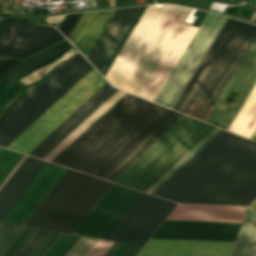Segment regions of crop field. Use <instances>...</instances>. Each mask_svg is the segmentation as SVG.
I'll return each instance as SVG.
<instances>
[{
	"mask_svg": "<svg viewBox=\"0 0 256 256\" xmlns=\"http://www.w3.org/2000/svg\"><path fill=\"white\" fill-rule=\"evenodd\" d=\"M152 194L178 203L249 205L256 199V143L221 130Z\"/></svg>",
	"mask_w": 256,
	"mask_h": 256,
	"instance_id": "crop-field-1",
	"label": "crop field"
},
{
	"mask_svg": "<svg viewBox=\"0 0 256 256\" xmlns=\"http://www.w3.org/2000/svg\"><path fill=\"white\" fill-rule=\"evenodd\" d=\"M191 8L147 6L106 78L154 101L197 28L182 25Z\"/></svg>",
	"mask_w": 256,
	"mask_h": 256,
	"instance_id": "crop-field-2",
	"label": "crop field"
},
{
	"mask_svg": "<svg viewBox=\"0 0 256 256\" xmlns=\"http://www.w3.org/2000/svg\"><path fill=\"white\" fill-rule=\"evenodd\" d=\"M173 113L126 93L52 161L103 178Z\"/></svg>",
	"mask_w": 256,
	"mask_h": 256,
	"instance_id": "crop-field-3",
	"label": "crop field"
},
{
	"mask_svg": "<svg viewBox=\"0 0 256 256\" xmlns=\"http://www.w3.org/2000/svg\"><path fill=\"white\" fill-rule=\"evenodd\" d=\"M255 36V25L228 18L174 110L189 115L196 100L213 105Z\"/></svg>",
	"mask_w": 256,
	"mask_h": 256,
	"instance_id": "crop-field-4",
	"label": "crop field"
},
{
	"mask_svg": "<svg viewBox=\"0 0 256 256\" xmlns=\"http://www.w3.org/2000/svg\"><path fill=\"white\" fill-rule=\"evenodd\" d=\"M111 184L67 169L23 225L72 233Z\"/></svg>",
	"mask_w": 256,
	"mask_h": 256,
	"instance_id": "crop-field-5",
	"label": "crop field"
},
{
	"mask_svg": "<svg viewBox=\"0 0 256 256\" xmlns=\"http://www.w3.org/2000/svg\"><path fill=\"white\" fill-rule=\"evenodd\" d=\"M214 129L185 116L114 182L146 191Z\"/></svg>",
	"mask_w": 256,
	"mask_h": 256,
	"instance_id": "crop-field-6",
	"label": "crop field"
},
{
	"mask_svg": "<svg viewBox=\"0 0 256 256\" xmlns=\"http://www.w3.org/2000/svg\"><path fill=\"white\" fill-rule=\"evenodd\" d=\"M93 67L78 53L30 91L0 127V145L7 147Z\"/></svg>",
	"mask_w": 256,
	"mask_h": 256,
	"instance_id": "crop-field-7",
	"label": "crop field"
},
{
	"mask_svg": "<svg viewBox=\"0 0 256 256\" xmlns=\"http://www.w3.org/2000/svg\"><path fill=\"white\" fill-rule=\"evenodd\" d=\"M106 82L93 68L8 148L28 154Z\"/></svg>",
	"mask_w": 256,
	"mask_h": 256,
	"instance_id": "crop-field-8",
	"label": "crop field"
},
{
	"mask_svg": "<svg viewBox=\"0 0 256 256\" xmlns=\"http://www.w3.org/2000/svg\"><path fill=\"white\" fill-rule=\"evenodd\" d=\"M225 19V16L208 12L155 102L173 108Z\"/></svg>",
	"mask_w": 256,
	"mask_h": 256,
	"instance_id": "crop-field-9",
	"label": "crop field"
},
{
	"mask_svg": "<svg viewBox=\"0 0 256 256\" xmlns=\"http://www.w3.org/2000/svg\"><path fill=\"white\" fill-rule=\"evenodd\" d=\"M175 205L142 193L105 239L144 245Z\"/></svg>",
	"mask_w": 256,
	"mask_h": 256,
	"instance_id": "crop-field-10",
	"label": "crop field"
},
{
	"mask_svg": "<svg viewBox=\"0 0 256 256\" xmlns=\"http://www.w3.org/2000/svg\"><path fill=\"white\" fill-rule=\"evenodd\" d=\"M255 84L256 37L209 112L205 122L228 130ZM232 91L237 92L233 102H226Z\"/></svg>",
	"mask_w": 256,
	"mask_h": 256,
	"instance_id": "crop-field-11",
	"label": "crop field"
},
{
	"mask_svg": "<svg viewBox=\"0 0 256 256\" xmlns=\"http://www.w3.org/2000/svg\"><path fill=\"white\" fill-rule=\"evenodd\" d=\"M140 194L113 183L73 233L104 239Z\"/></svg>",
	"mask_w": 256,
	"mask_h": 256,
	"instance_id": "crop-field-12",
	"label": "crop field"
},
{
	"mask_svg": "<svg viewBox=\"0 0 256 256\" xmlns=\"http://www.w3.org/2000/svg\"><path fill=\"white\" fill-rule=\"evenodd\" d=\"M241 223L165 220L152 238L234 241Z\"/></svg>",
	"mask_w": 256,
	"mask_h": 256,
	"instance_id": "crop-field-13",
	"label": "crop field"
},
{
	"mask_svg": "<svg viewBox=\"0 0 256 256\" xmlns=\"http://www.w3.org/2000/svg\"><path fill=\"white\" fill-rule=\"evenodd\" d=\"M233 243L150 239L137 256H229Z\"/></svg>",
	"mask_w": 256,
	"mask_h": 256,
	"instance_id": "crop-field-14",
	"label": "crop field"
},
{
	"mask_svg": "<svg viewBox=\"0 0 256 256\" xmlns=\"http://www.w3.org/2000/svg\"><path fill=\"white\" fill-rule=\"evenodd\" d=\"M65 170L48 163L2 221L22 225Z\"/></svg>",
	"mask_w": 256,
	"mask_h": 256,
	"instance_id": "crop-field-15",
	"label": "crop field"
},
{
	"mask_svg": "<svg viewBox=\"0 0 256 256\" xmlns=\"http://www.w3.org/2000/svg\"><path fill=\"white\" fill-rule=\"evenodd\" d=\"M116 91L117 89L112 88L107 82L34 150H32L29 155L42 158Z\"/></svg>",
	"mask_w": 256,
	"mask_h": 256,
	"instance_id": "crop-field-16",
	"label": "crop field"
},
{
	"mask_svg": "<svg viewBox=\"0 0 256 256\" xmlns=\"http://www.w3.org/2000/svg\"><path fill=\"white\" fill-rule=\"evenodd\" d=\"M138 8L139 6L116 9L87 58L99 71L104 67Z\"/></svg>",
	"mask_w": 256,
	"mask_h": 256,
	"instance_id": "crop-field-17",
	"label": "crop field"
},
{
	"mask_svg": "<svg viewBox=\"0 0 256 256\" xmlns=\"http://www.w3.org/2000/svg\"><path fill=\"white\" fill-rule=\"evenodd\" d=\"M47 162L27 156L0 190V221L33 182Z\"/></svg>",
	"mask_w": 256,
	"mask_h": 256,
	"instance_id": "crop-field-18",
	"label": "crop field"
},
{
	"mask_svg": "<svg viewBox=\"0 0 256 256\" xmlns=\"http://www.w3.org/2000/svg\"><path fill=\"white\" fill-rule=\"evenodd\" d=\"M115 9L83 13L69 40L87 58Z\"/></svg>",
	"mask_w": 256,
	"mask_h": 256,
	"instance_id": "crop-field-19",
	"label": "crop field"
},
{
	"mask_svg": "<svg viewBox=\"0 0 256 256\" xmlns=\"http://www.w3.org/2000/svg\"><path fill=\"white\" fill-rule=\"evenodd\" d=\"M246 207L178 204L167 219L241 222Z\"/></svg>",
	"mask_w": 256,
	"mask_h": 256,
	"instance_id": "crop-field-20",
	"label": "crop field"
},
{
	"mask_svg": "<svg viewBox=\"0 0 256 256\" xmlns=\"http://www.w3.org/2000/svg\"><path fill=\"white\" fill-rule=\"evenodd\" d=\"M183 117L184 115L175 112L104 178L113 181Z\"/></svg>",
	"mask_w": 256,
	"mask_h": 256,
	"instance_id": "crop-field-21",
	"label": "crop field"
},
{
	"mask_svg": "<svg viewBox=\"0 0 256 256\" xmlns=\"http://www.w3.org/2000/svg\"><path fill=\"white\" fill-rule=\"evenodd\" d=\"M256 255V209L248 207L231 256Z\"/></svg>",
	"mask_w": 256,
	"mask_h": 256,
	"instance_id": "crop-field-22",
	"label": "crop field"
},
{
	"mask_svg": "<svg viewBox=\"0 0 256 256\" xmlns=\"http://www.w3.org/2000/svg\"><path fill=\"white\" fill-rule=\"evenodd\" d=\"M247 99V98H246ZM256 128V85L244 103L229 131L249 137Z\"/></svg>",
	"mask_w": 256,
	"mask_h": 256,
	"instance_id": "crop-field-23",
	"label": "crop field"
},
{
	"mask_svg": "<svg viewBox=\"0 0 256 256\" xmlns=\"http://www.w3.org/2000/svg\"><path fill=\"white\" fill-rule=\"evenodd\" d=\"M64 37L0 32V45L46 48Z\"/></svg>",
	"mask_w": 256,
	"mask_h": 256,
	"instance_id": "crop-field-24",
	"label": "crop field"
},
{
	"mask_svg": "<svg viewBox=\"0 0 256 256\" xmlns=\"http://www.w3.org/2000/svg\"><path fill=\"white\" fill-rule=\"evenodd\" d=\"M68 45H70L68 43L67 40L21 62L20 64H18L17 66L13 67L12 69H10L9 71L5 72L4 74L0 75V82L12 77L13 75L21 72L22 70L33 66L51 56H53L54 54H56L57 52H59L60 50L64 49L65 47H67Z\"/></svg>",
	"mask_w": 256,
	"mask_h": 256,
	"instance_id": "crop-field-25",
	"label": "crop field"
},
{
	"mask_svg": "<svg viewBox=\"0 0 256 256\" xmlns=\"http://www.w3.org/2000/svg\"><path fill=\"white\" fill-rule=\"evenodd\" d=\"M0 31L62 36L56 29L51 27L20 23H0Z\"/></svg>",
	"mask_w": 256,
	"mask_h": 256,
	"instance_id": "crop-field-26",
	"label": "crop field"
},
{
	"mask_svg": "<svg viewBox=\"0 0 256 256\" xmlns=\"http://www.w3.org/2000/svg\"><path fill=\"white\" fill-rule=\"evenodd\" d=\"M24 228L23 226L0 223V256L6 252Z\"/></svg>",
	"mask_w": 256,
	"mask_h": 256,
	"instance_id": "crop-field-27",
	"label": "crop field"
},
{
	"mask_svg": "<svg viewBox=\"0 0 256 256\" xmlns=\"http://www.w3.org/2000/svg\"><path fill=\"white\" fill-rule=\"evenodd\" d=\"M80 237L62 233L44 256H65Z\"/></svg>",
	"mask_w": 256,
	"mask_h": 256,
	"instance_id": "crop-field-28",
	"label": "crop field"
},
{
	"mask_svg": "<svg viewBox=\"0 0 256 256\" xmlns=\"http://www.w3.org/2000/svg\"><path fill=\"white\" fill-rule=\"evenodd\" d=\"M22 156L23 154L0 148V184Z\"/></svg>",
	"mask_w": 256,
	"mask_h": 256,
	"instance_id": "crop-field-29",
	"label": "crop field"
},
{
	"mask_svg": "<svg viewBox=\"0 0 256 256\" xmlns=\"http://www.w3.org/2000/svg\"><path fill=\"white\" fill-rule=\"evenodd\" d=\"M73 53L75 52L73 51L72 48L67 50L66 53L57 61L30 73L29 75L23 77L19 81L26 86L36 82L38 79H40L42 76H44L46 73H48L50 70H52L55 66H57L59 63H61L64 59H66L68 56L72 55Z\"/></svg>",
	"mask_w": 256,
	"mask_h": 256,
	"instance_id": "crop-field-30",
	"label": "crop field"
},
{
	"mask_svg": "<svg viewBox=\"0 0 256 256\" xmlns=\"http://www.w3.org/2000/svg\"><path fill=\"white\" fill-rule=\"evenodd\" d=\"M146 6H140L139 10L137 11L136 15L134 16L133 20L131 21L130 25L128 26L127 30L125 31L124 35L122 36L120 42L118 43L117 47L115 48L114 52L112 53L111 57L109 58L108 62L106 63L105 67L103 68L101 74L105 76L106 72L108 71L109 67L111 66L112 62L116 58L117 54L119 53L120 49L122 48L123 44L125 43L126 39L128 38L129 34L131 33L132 29L134 28L135 24L139 20L140 16L142 15L143 11L145 10Z\"/></svg>",
	"mask_w": 256,
	"mask_h": 256,
	"instance_id": "crop-field-31",
	"label": "crop field"
},
{
	"mask_svg": "<svg viewBox=\"0 0 256 256\" xmlns=\"http://www.w3.org/2000/svg\"><path fill=\"white\" fill-rule=\"evenodd\" d=\"M220 129L216 128L210 133L202 142H200L192 151H190L182 160H180L172 169H170L162 178H160L147 192L151 193L157 188L165 179H167L175 170H177L185 161H187L195 152H197L206 142H208Z\"/></svg>",
	"mask_w": 256,
	"mask_h": 256,
	"instance_id": "crop-field-32",
	"label": "crop field"
},
{
	"mask_svg": "<svg viewBox=\"0 0 256 256\" xmlns=\"http://www.w3.org/2000/svg\"><path fill=\"white\" fill-rule=\"evenodd\" d=\"M42 49L38 48H25V47H12L0 46V56L26 58Z\"/></svg>",
	"mask_w": 256,
	"mask_h": 256,
	"instance_id": "crop-field-33",
	"label": "crop field"
},
{
	"mask_svg": "<svg viewBox=\"0 0 256 256\" xmlns=\"http://www.w3.org/2000/svg\"><path fill=\"white\" fill-rule=\"evenodd\" d=\"M60 234L59 232L48 231L29 256H43Z\"/></svg>",
	"mask_w": 256,
	"mask_h": 256,
	"instance_id": "crop-field-34",
	"label": "crop field"
},
{
	"mask_svg": "<svg viewBox=\"0 0 256 256\" xmlns=\"http://www.w3.org/2000/svg\"><path fill=\"white\" fill-rule=\"evenodd\" d=\"M96 241V239L81 237L75 246L73 245L74 247L71 249V251L69 250L70 252L67 254V256H85Z\"/></svg>",
	"mask_w": 256,
	"mask_h": 256,
	"instance_id": "crop-field-35",
	"label": "crop field"
},
{
	"mask_svg": "<svg viewBox=\"0 0 256 256\" xmlns=\"http://www.w3.org/2000/svg\"><path fill=\"white\" fill-rule=\"evenodd\" d=\"M81 14H74V15H66L64 21L59 26V30L62 34L67 38L68 34L72 30L73 26L75 25L76 21L80 17Z\"/></svg>",
	"mask_w": 256,
	"mask_h": 256,
	"instance_id": "crop-field-36",
	"label": "crop field"
},
{
	"mask_svg": "<svg viewBox=\"0 0 256 256\" xmlns=\"http://www.w3.org/2000/svg\"><path fill=\"white\" fill-rule=\"evenodd\" d=\"M112 243L110 241L98 240L86 256H103Z\"/></svg>",
	"mask_w": 256,
	"mask_h": 256,
	"instance_id": "crop-field-37",
	"label": "crop field"
},
{
	"mask_svg": "<svg viewBox=\"0 0 256 256\" xmlns=\"http://www.w3.org/2000/svg\"><path fill=\"white\" fill-rule=\"evenodd\" d=\"M32 230V228L26 227L25 230L21 233V235L16 239V241L12 244V246L3 256H12L14 252L18 249V247L22 244V242L26 239V237L31 233Z\"/></svg>",
	"mask_w": 256,
	"mask_h": 256,
	"instance_id": "crop-field-38",
	"label": "crop field"
},
{
	"mask_svg": "<svg viewBox=\"0 0 256 256\" xmlns=\"http://www.w3.org/2000/svg\"><path fill=\"white\" fill-rule=\"evenodd\" d=\"M47 231L39 230L38 233L34 236V238L29 242V244L25 247V249L21 252L19 256H28L29 253L33 250V248L38 244V242L42 239V237L46 234Z\"/></svg>",
	"mask_w": 256,
	"mask_h": 256,
	"instance_id": "crop-field-39",
	"label": "crop field"
},
{
	"mask_svg": "<svg viewBox=\"0 0 256 256\" xmlns=\"http://www.w3.org/2000/svg\"><path fill=\"white\" fill-rule=\"evenodd\" d=\"M71 47H73V46H71V45L68 46L67 48H65V49L62 50L61 52L57 53L56 55H54V56L51 57L50 59H48V60H46V61H44V62H42V63H40V64H38V65H36V66H34V67H32V68H30V69H28V70H26V71H24V72H22V73H20V74H18V75H16V76H14V77H12V78H10V79H8V80H6V81L0 83V88L3 87V86H5L6 84H8V83H10V82H12V81H14V80H16L17 78L21 77L22 75L28 73L29 71L33 70L34 68H36V67H38V66H40V65H42V64H44V63H46V62H48V61H50V60H52L53 58H55L56 56L60 55L61 53H63L64 51H66L67 49H69V48H71ZM56 58H57V57H56Z\"/></svg>",
	"mask_w": 256,
	"mask_h": 256,
	"instance_id": "crop-field-40",
	"label": "crop field"
},
{
	"mask_svg": "<svg viewBox=\"0 0 256 256\" xmlns=\"http://www.w3.org/2000/svg\"><path fill=\"white\" fill-rule=\"evenodd\" d=\"M28 92L22 94L18 97L0 116V125L5 121V119L11 114V112L16 108V106L21 102V100L26 96Z\"/></svg>",
	"mask_w": 256,
	"mask_h": 256,
	"instance_id": "crop-field-41",
	"label": "crop field"
},
{
	"mask_svg": "<svg viewBox=\"0 0 256 256\" xmlns=\"http://www.w3.org/2000/svg\"><path fill=\"white\" fill-rule=\"evenodd\" d=\"M22 60L19 59H7V58H0V74L7 69L11 68L15 64L19 63Z\"/></svg>",
	"mask_w": 256,
	"mask_h": 256,
	"instance_id": "crop-field-42",
	"label": "crop field"
},
{
	"mask_svg": "<svg viewBox=\"0 0 256 256\" xmlns=\"http://www.w3.org/2000/svg\"><path fill=\"white\" fill-rule=\"evenodd\" d=\"M37 231H38L37 229H34L33 232L31 231L32 233L29 235V237L27 236L28 238L26 237L27 239L24 241V243L22 242L23 244L20 246V248L18 247L19 249L16 251V253L14 252L15 254L13 256H18L20 254V252L24 249V247L28 244V242L37 233Z\"/></svg>",
	"mask_w": 256,
	"mask_h": 256,
	"instance_id": "crop-field-43",
	"label": "crop field"
},
{
	"mask_svg": "<svg viewBox=\"0 0 256 256\" xmlns=\"http://www.w3.org/2000/svg\"><path fill=\"white\" fill-rule=\"evenodd\" d=\"M141 247L131 245L130 248L125 252L123 256H135Z\"/></svg>",
	"mask_w": 256,
	"mask_h": 256,
	"instance_id": "crop-field-44",
	"label": "crop field"
},
{
	"mask_svg": "<svg viewBox=\"0 0 256 256\" xmlns=\"http://www.w3.org/2000/svg\"><path fill=\"white\" fill-rule=\"evenodd\" d=\"M121 244L114 242L104 256H112Z\"/></svg>",
	"mask_w": 256,
	"mask_h": 256,
	"instance_id": "crop-field-45",
	"label": "crop field"
},
{
	"mask_svg": "<svg viewBox=\"0 0 256 256\" xmlns=\"http://www.w3.org/2000/svg\"><path fill=\"white\" fill-rule=\"evenodd\" d=\"M130 245L122 244L121 247L117 250V252L113 256H122L124 252L129 248Z\"/></svg>",
	"mask_w": 256,
	"mask_h": 256,
	"instance_id": "crop-field-46",
	"label": "crop field"
},
{
	"mask_svg": "<svg viewBox=\"0 0 256 256\" xmlns=\"http://www.w3.org/2000/svg\"><path fill=\"white\" fill-rule=\"evenodd\" d=\"M255 137H256V130L254 131V133L252 134V136H251V139H255Z\"/></svg>",
	"mask_w": 256,
	"mask_h": 256,
	"instance_id": "crop-field-47",
	"label": "crop field"
},
{
	"mask_svg": "<svg viewBox=\"0 0 256 256\" xmlns=\"http://www.w3.org/2000/svg\"><path fill=\"white\" fill-rule=\"evenodd\" d=\"M250 206L256 207V200Z\"/></svg>",
	"mask_w": 256,
	"mask_h": 256,
	"instance_id": "crop-field-48",
	"label": "crop field"
},
{
	"mask_svg": "<svg viewBox=\"0 0 256 256\" xmlns=\"http://www.w3.org/2000/svg\"><path fill=\"white\" fill-rule=\"evenodd\" d=\"M249 1H252V2L256 3V0H249Z\"/></svg>",
	"mask_w": 256,
	"mask_h": 256,
	"instance_id": "crop-field-49",
	"label": "crop field"
},
{
	"mask_svg": "<svg viewBox=\"0 0 256 256\" xmlns=\"http://www.w3.org/2000/svg\"><path fill=\"white\" fill-rule=\"evenodd\" d=\"M218 1H220V0H218Z\"/></svg>",
	"mask_w": 256,
	"mask_h": 256,
	"instance_id": "crop-field-50",
	"label": "crop field"
},
{
	"mask_svg": "<svg viewBox=\"0 0 256 256\" xmlns=\"http://www.w3.org/2000/svg\"><path fill=\"white\" fill-rule=\"evenodd\" d=\"M247 1V0H246Z\"/></svg>",
	"mask_w": 256,
	"mask_h": 256,
	"instance_id": "crop-field-51",
	"label": "crop field"
}]
</instances>
